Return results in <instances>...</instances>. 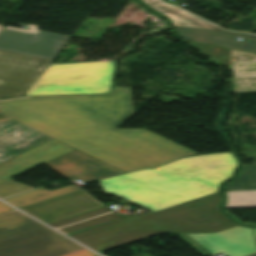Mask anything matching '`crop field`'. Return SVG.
<instances>
[{
    "mask_svg": "<svg viewBox=\"0 0 256 256\" xmlns=\"http://www.w3.org/2000/svg\"><path fill=\"white\" fill-rule=\"evenodd\" d=\"M133 114L130 89L0 101V123L16 119L124 172L196 154L146 129H117Z\"/></svg>",
    "mask_w": 256,
    "mask_h": 256,
    "instance_id": "1",
    "label": "crop field"
},
{
    "mask_svg": "<svg viewBox=\"0 0 256 256\" xmlns=\"http://www.w3.org/2000/svg\"><path fill=\"white\" fill-rule=\"evenodd\" d=\"M220 202L218 193L149 215H132L69 236L100 252L159 233L216 232L237 226L218 210Z\"/></svg>",
    "mask_w": 256,
    "mask_h": 256,
    "instance_id": "2",
    "label": "crop field"
},
{
    "mask_svg": "<svg viewBox=\"0 0 256 256\" xmlns=\"http://www.w3.org/2000/svg\"><path fill=\"white\" fill-rule=\"evenodd\" d=\"M236 165L231 152L198 155L109 179L187 197L150 209L154 212L218 192L220 183L233 175Z\"/></svg>",
    "mask_w": 256,
    "mask_h": 256,
    "instance_id": "3",
    "label": "crop field"
},
{
    "mask_svg": "<svg viewBox=\"0 0 256 256\" xmlns=\"http://www.w3.org/2000/svg\"><path fill=\"white\" fill-rule=\"evenodd\" d=\"M69 38L4 29L0 34V99L23 96Z\"/></svg>",
    "mask_w": 256,
    "mask_h": 256,
    "instance_id": "4",
    "label": "crop field"
},
{
    "mask_svg": "<svg viewBox=\"0 0 256 256\" xmlns=\"http://www.w3.org/2000/svg\"><path fill=\"white\" fill-rule=\"evenodd\" d=\"M0 256H98L18 211L0 215Z\"/></svg>",
    "mask_w": 256,
    "mask_h": 256,
    "instance_id": "5",
    "label": "crop field"
},
{
    "mask_svg": "<svg viewBox=\"0 0 256 256\" xmlns=\"http://www.w3.org/2000/svg\"><path fill=\"white\" fill-rule=\"evenodd\" d=\"M115 61L49 65L26 95L108 93Z\"/></svg>",
    "mask_w": 256,
    "mask_h": 256,
    "instance_id": "6",
    "label": "crop field"
},
{
    "mask_svg": "<svg viewBox=\"0 0 256 256\" xmlns=\"http://www.w3.org/2000/svg\"><path fill=\"white\" fill-rule=\"evenodd\" d=\"M204 256L223 252L227 256H243L256 252L249 227H233L216 233L178 234Z\"/></svg>",
    "mask_w": 256,
    "mask_h": 256,
    "instance_id": "7",
    "label": "crop field"
},
{
    "mask_svg": "<svg viewBox=\"0 0 256 256\" xmlns=\"http://www.w3.org/2000/svg\"><path fill=\"white\" fill-rule=\"evenodd\" d=\"M188 46L208 57L211 62L221 64L232 72L231 92L256 90V54L217 48L208 45L187 43ZM202 49L206 50L204 52ZM218 53V55L213 54Z\"/></svg>",
    "mask_w": 256,
    "mask_h": 256,
    "instance_id": "8",
    "label": "crop field"
},
{
    "mask_svg": "<svg viewBox=\"0 0 256 256\" xmlns=\"http://www.w3.org/2000/svg\"><path fill=\"white\" fill-rule=\"evenodd\" d=\"M101 206L104 205L86 191L79 189L78 192L20 209L47 223Z\"/></svg>",
    "mask_w": 256,
    "mask_h": 256,
    "instance_id": "9",
    "label": "crop field"
},
{
    "mask_svg": "<svg viewBox=\"0 0 256 256\" xmlns=\"http://www.w3.org/2000/svg\"><path fill=\"white\" fill-rule=\"evenodd\" d=\"M49 167L69 179L90 182L104 176L123 173L122 171L92 158L78 150H73L48 163Z\"/></svg>",
    "mask_w": 256,
    "mask_h": 256,
    "instance_id": "10",
    "label": "crop field"
},
{
    "mask_svg": "<svg viewBox=\"0 0 256 256\" xmlns=\"http://www.w3.org/2000/svg\"><path fill=\"white\" fill-rule=\"evenodd\" d=\"M74 148L52 139L0 164V183L61 156Z\"/></svg>",
    "mask_w": 256,
    "mask_h": 256,
    "instance_id": "11",
    "label": "crop field"
},
{
    "mask_svg": "<svg viewBox=\"0 0 256 256\" xmlns=\"http://www.w3.org/2000/svg\"><path fill=\"white\" fill-rule=\"evenodd\" d=\"M184 41L222 46L256 53V35L194 28H176ZM242 41H236L237 38Z\"/></svg>",
    "mask_w": 256,
    "mask_h": 256,
    "instance_id": "12",
    "label": "crop field"
},
{
    "mask_svg": "<svg viewBox=\"0 0 256 256\" xmlns=\"http://www.w3.org/2000/svg\"><path fill=\"white\" fill-rule=\"evenodd\" d=\"M105 180H108L113 183L129 186V187L137 188V189H142L145 191L114 185V184L106 182ZM98 184H99L100 189L104 193L115 196L117 198H120V199H123L126 201H129V202H132L134 204L140 205L147 209L184 198V197L178 196L180 198L177 199L176 195L163 193V192H159V191H155V190H151V189H146V188H142V187H138V186H134V185H130V184H125V183H121V182H117V181H113V180H109V179H103V180L99 181ZM117 189H120L121 191L118 192ZM131 191L134 193L130 194L129 192H131ZM151 193H155V195L153 196V195H151ZM164 194H167V196H163ZM144 195H147V197L144 198L143 197ZM136 197H139L140 200L135 199ZM155 198H157L158 200L154 201L153 199H155ZM168 199H171V201H168ZM146 201H149V203H146ZM160 202H163V204H159ZM153 204H156V206H153Z\"/></svg>",
    "mask_w": 256,
    "mask_h": 256,
    "instance_id": "13",
    "label": "crop field"
},
{
    "mask_svg": "<svg viewBox=\"0 0 256 256\" xmlns=\"http://www.w3.org/2000/svg\"><path fill=\"white\" fill-rule=\"evenodd\" d=\"M141 1L145 3L147 6H149L151 9H153L154 11L166 16L174 25V27L184 26V27L204 28V29H213V30H223L184 10L166 5L161 0H141Z\"/></svg>",
    "mask_w": 256,
    "mask_h": 256,
    "instance_id": "14",
    "label": "crop field"
},
{
    "mask_svg": "<svg viewBox=\"0 0 256 256\" xmlns=\"http://www.w3.org/2000/svg\"><path fill=\"white\" fill-rule=\"evenodd\" d=\"M41 132L15 120L0 124V152H3Z\"/></svg>",
    "mask_w": 256,
    "mask_h": 256,
    "instance_id": "15",
    "label": "crop field"
},
{
    "mask_svg": "<svg viewBox=\"0 0 256 256\" xmlns=\"http://www.w3.org/2000/svg\"><path fill=\"white\" fill-rule=\"evenodd\" d=\"M79 188L72 185L56 190L49 191L47 189L41 188L38 190H34L28 193H24L18 196H14L8 199H4L5 201L9 202L10 204L20 208L30 204H34L37 202H41L47 199H51L54 197H58L61 195L69 194L72 192L77 191Z\"/></svg>",
    "mask_w": 256,
    "mask_h": 256,
    "instance_id": "16",
    "label": "crop field"
},
{
    "mask_svg": "<svg viewBox=\"0 0 256 256\" xmlns=\"http://www.w3.org/2000/svg\"><path fill=\"white\" fill-rule=\"evenodd\" d=\"M226 190L256 189V164L242 167L239 176L225 186Z\"/></svg>",
    "mask_w": 256,
    "mask_h": 256,
    "instance_id": "17",
    "label": "crop field"
},
{
    "mask_svg": "<svg viewBox=\"0 0 256 256\" xmlns=\"http://www.w3.org/2000/svg\"><path fill=\"white\" fill-rule=\"evenodd\" d=\"M225 208L256 207V190L226 191Z\"/></svg>",
    "mask_w": 256,
    "mask_h": 256,
    "instance_id": "18",
    "label": "crop field"
},
{
    "mask_svg": "<svg viewBox=\"0 0 256 256\" xmlns=\"http://www.w3.org/2000/svg\"><path fill=\"white\" fill-rule=\"evenodd\" d=\"M52 139L51 137L41 133L3 153H0V163L9 159V158H12L22 152H25L37 145H40L48 140Z\"/></svg>",
    "mask_w": 256,
    "mask_h": 256,
    "instance_id": "19",
    "label": "crop field"
},
{
    "mask_svg": "<svg viewBox=\"0 0 256 256\" xmlns=\"http://www.w3.org/2000/svg\"><path fill=\"white\" fill-rule=\"evenodd\" d=\"M117 218H120V217L117 216L115 213L111 212V213H108V214H105V215H102V216H99V217H96V218H93V219H90L87 221H83V222H80V223H77V224H74V225H71V226H68L65 228H61L58 230L67 234L70 232H74V231H77L80 229H84V228H87V227H90L93 225H97V224H100L103 222H107V221H110L113 219H117Z\"/></svg>",
    "mask_w": 256,
    "mask_h": 256,
    "instance_id": "20",
    "label": "crop field"
},
{
    "mask_svg": "<svg viewBox=\"0 0 256 256\" xmlns=\"http://www.w3.org/2000/svg\"><path fill=\"white\" fill-rule=\"evenodd\" d=\"M109 211H111V210L108 209L106 206H104V207H101V208H97V209H94V210H91V211H87V212H84V213H81V214H77V215L67 217V218L57 220V221L47 223V224L54 227V228H57V227H61V226H64V225H67V224H70V223H73V222H77V221H80V220H83V219H86V218H89V217L99 215V214H102V213H106V212H109Z\"/></svg>",
    "mask_w": 256,
    "mask_h": 256,
    "instance_id": "21",
    "label": "crop field"
},
{
    "mask_svg": "<svg viewBox=\"0 0 256 256\" xmlns=\"http://www.w3.org/2000/svg\"><path fill=\"white\" fill-rule=\"evenodd\" d=\"M34 188L25 186L23 184L8 180L0 184V198L15 195L24 191H28Z\"/></svg>",
    "mask_w": 256,
    "mask_h": 256,
    "instance_id": "22",
    "label": "crop field"
},
{
    "mask_svg": "<svg viewBox=\"0 0 256 256\" xmlns=\"http://www.w3.org/2000/svg\"><path fill=\"white\" fill-rule=\"evenodd\" d=\"M10 210H13V209L11 207H9L8 205L0 202V213L10 211Z\"/></svg>",
    "mask_w": 256,
    "mask_h": 256,
    "instance_id": "23",
    "label": "crop field"
},
{
    "mask_svg": "<svg viewBox=\"0 0 256 256\" xmlns=\"http://www.w3.org/2000/svg\"><path fill=\"white\" fill-rule=\"evenodd\" d=\"M249 256H256V253H254V254H251V255H249Z\"/></svg>",
    "mask_w": 256,
    "mask_h": 256,
    "instance_id": "24",
    "label": "crop field"
},
{
    "mask_svg": "<svg viewBox=\"0 0 256 256\" xmlns=\"http://www.w3.org/2000/svg\"><path fill=\"white\" fill-rule=\"evenodd\" d=\"M3 28H4L3 26H0V31H1Z\"/></svg>",
    "mask_w": 256,
    "mask_h": 256,
    "instance_id": "25",
    "label": "crop field"
},
{
    "mask_svg": "<svg viewBox=\"0 0 256 256\" xmlns=\"http://www.w3.org/2000/svg\"><path fill=\"white\" fill-rule=\"evenodd\" d=\"M254 230H255V234H256V228H254Z\"/></svg>",
    "mask_w": 256,
    "mask_h": 256,
    "instance_id": "26",
    "label": "crop field"
}]
</instances>
